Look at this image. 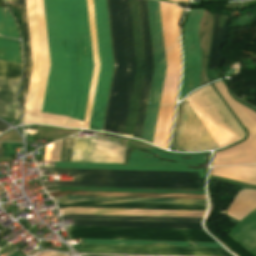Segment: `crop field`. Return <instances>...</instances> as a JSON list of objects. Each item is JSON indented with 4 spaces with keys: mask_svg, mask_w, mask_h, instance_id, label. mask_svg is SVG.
<instances>
[{
    "mask_svg": "<svg viewBox=\"0 0 256 256\" xmlns=\"http://www.w3.org/2000/svg\"><path fill=\"white\" fill-rule=\"evenodd\" d=\"M215 86L245 128H248L250 137L246 142L234 148L216 153L212 166L256 163V114L241 104L233 101L222 82L215 84Z\"/></svg>",
    "mask_w": 256,
    "mask_h": 256,
    "instance_id": "obj_10",
    "label": "crop field"
},
{
    "mask_svg": "<svg viewBox=\"0 0 256 256\" xmlns=\"http://www.w3.org/2000/svg\"><path fill=\"white\" fill-rule=\"evenodd\" d=\"M73 141H74V138H72V137L63 139L59 161L70 162Z\"/></svg>",
    "mask_w": 256,
    "mask_h": 256,
    "instance_id": "obj_29",
    "label": "crop field"
},
{
    "mask_svg": "<svg viewBox=\"0 0 256 256\" xmlns=\"http://www.w3.org/2000/svg\"><path fill=\"white\" fill-rule=\"evenodd\" d=\"M0 35L19 39L16 23L7 7H0Z\"/></svg>",
    "mask_w": 256,
    "mask_h": 256,
    "instance_id": "obj_27",
    "label": "crop field"
},
{
    "mask_svg": "<svg viewBox=\"0 0 256 256\" xmlns=\"http://www.w3.org/2000/svg\"><path fill=\"white\" fill-rule=\"evenodd\" d=\"M61 187L204 191V190H190V189L133 188V187H105V186H77V185H60L56 187L47 188L46 190L61 188Z\"/></svg>",
    "mask_w": 256,
    "mask_h": 256,
    "instance_id": "obj_30",
    "label": "crop field"
},
{
    "mask_svg": "<svg viewBox=\"0 0 256 256\" xmlns=\"http://www.w3.org/2000/svg\"><path fill=\"white\" fill-rule=\"evenodd\" d=\"M100 69L89 129L101 130L112 70L105 0H93Z\"/></svg>",
    "mask_w": 256,
    "mask_h": 256,
    "instance_id": "obj_9",
    "label": "crop field"
},
{
    "mask_svg": "<svg viewBox=\"0 0 256 256\" xmlns=\"http://www.w3.org/2000/svg\"><path fill=\"white\" fill-rule=\"evenodd\" d=\"M22 66L0 62V76L10 77L20 80Z\"/></svg>",
    "mask_w": 256,
    "mask_h": 256,
    "instance_id": "obj_28",
    "label": "crop field"
},
{
    "mask_svg": "<svg viewBox=\"0 0 256 256\" xmlns=\"http://www.w3.org/2000/svg\"><path fill=\"white\" fill-rule=\"evenodd\" d=\"M215 26L209 58L208 69H217L223 62L224 56L219 49L224 44L227 36V27L230 21L229 17L214 13Z\"/></svg>",
    "mask_w": 256,
    "mask_h": 256,
    "instance_id": "obj_19",
    "label": "crop field"
},
{
    "mask_svg": "<svg viewBox=\"0 0 256 256\" xmlns=\"http://www.w3.org/2000/svg\"><path fill=\"white\" fill-rule=\"evenodd\" d=\"M178 3V2H177Z\"/></svg>",
    "mask_w": 256,
    "mask_h": 256,
    "instance_id": "obj_34",
    "label": "crop field"
},
{
    "mask_svg": "<svg viewBox=\"0 0 256 256\" xmlns=\"http://www.w3.org/2000/svg\"><path fill=\"white\" fill-rule=\"evenodd\" d=\"M61 214L89 213V214H122V215H154V216H187L203 217L205 212L189 211H155V210H121V209H87L68 208L60 210Z\"/></svg>",
    "mask_w": 256,
    "mask_h": 256,
    "instance_id": "obj_18",
    "label": "crop field"
},
{
    "mask_svg": "<svg viewBox=\"0 0 256 256\" xmlns=\"http://www.w3.org/2000/svg\"><path fill=\"white\" fill-rule=\"evenodd\" d=\"M50 68L42 112L83 120L93 68L86 0H43Z\"/></svg>",
    "mask_w": 256,
    "mask_h": 256,
    "instance_id": "obj_1",
    "label": "crop field"
},
{
    "mask_svg": "<svg viewBox=\"0 0 256 256\" xmlns=\"http://www.w3.org/2000/svg\"><path fill=\"white\" fill-rule=\"evenodd\" d=\"M83 240H84L85 243H99V244H135V245H177V246H186V242L98 240V239H83ZM83 240L81 239L82 243H84ZM187 246H197V243L187 242ZM198 246L222 247L219 243H198Z\"/></svg>",
    "mask_w": 256,
    "mask_h": 256,
    "instance_id": "obj_25",
    "label": "crop field"
},
{
    "mask_svg": "<svg viewBox=\"0 0 256 256\" xmlns=\"http://www.w3.org/2000/svg\"><path fill=\"white\" fill-rule=\"evenodd\" d=\"M187 98L223 148L243 139L244 131L210 85Z\"/></svg>",
    "mask_w": 256,
    "mask_h": 256,
    "instance_id": "obj_7",
    "label": "crop field"
},
{
    "mask_svg": "<svg viewBox=\"0 0 256 256\" xmlns=\"http://www.w3.org/2000/svg\"><path fill=\"white\" fill-rule=\"evenodd\" d=\"M136 149V148H135ZM141 150V149H139ZM128 148L127 154H126V161H128L129 158V152H130V158L129 162H126L123 165H110V164H82V163H58L54 162L55 168H80V169H124V170H169V171H193V172H203L204 170H187L188 164H197V165H204L206 156H199V155H169L162 153L160 151H157L155 149H143L173 165L176 166V169L139 151ZM180 157H191V161H180ZM209 157L206 158L205 166H196V165H189L188 169H205L204 172H207L208 170V164H209ZM181 160H190V158H181Z\"/></svg>",
    "mask_w": 256,
    "mask_h": 256,
    "instance_id": "obj_6",
    "label": "crop field"
},
{
    "mask_svg": "<svg viewBox=\"0 0 256 256\" xmlns=\"http://www.w3.org/2000/svg\"><path fill=\"white\" fill-rule=\"evenodd\" d=\"M14 1H15L16 5H17V8H18L19 13H20V16L22 18L23 29H24V38H25V46H26L27 67H26L24 85H23L21 102H20V106H21V108L23 110V113H24L26 96H27V90H28L30 73H31V67H32V60H31L29 33H28L27 20H26L25 0H14Z\"/></svg>",
    "mask_w": 256,
    "mask_h": 256,
    "instance_id": "obj_23",
    "label": "crop field"
},
{
    "mask_svg": "<svg viewBox=\"0 0 256 256\" xmlns=\"http://www.w3.org/2000/svg\"><path fill=\"white\" fill-rule=\"evenodd\" d=\"M9 256H24L20 251H15L12 254H10Z\"/></svg>",
    "mask_w": 256,
    "mask_h": 256,
    "instance_id": "obj_31",
    "label": "crop field"
},
{
    "mask_svg": "<svg viewBox=\"0 0 256 256\" xmlns=\"http://www.w3.org/2000/svg\"><path fill=\"white\" fill-rule=\"evenodd\" d=\"M115 69L103 130H119L106 122L125 125L136 68L128 0H108ZM115 126L123 135L124 126Z\"/></svg>",
    "mask_w": 256,
    "mask_h": 256,
    "instance_id": "obj_2",
    "label": "crop field"
},
{
    "mask_svg": "<svg viewBox=\"0 0 256 256\" xmlns=\"http://www.w3.org/2000/svg\"><path fill=\"white\" fill-rule=\"evenodd\" d=\"M50 195H51V197L63 196V195H95V196H127V197L206 199L205 195L153 194V193H117V192H82V191H62V192L51 193Z\"/></svg>",
    "mask_w": 256,
    "mask_h": 256,
    "instance_id": "obj_22",
    "label": "crop field"
},
{
    "mask_svg": "<svg viewBox=\"0 0 256 256\" xmlns=\"http://www.w3.org/2000/svg\"><path fill=\"white\" fill-rule=\"evenodd\" d=\"M20 81L0 77V116L16 119L19 118L15 97Z\"/></svg>",
    "mask_w": 256,
    "mask_h": 256,
    "instance_id": "obj_20",
    "label": "crop field"
},
{
    "mask_svg": "<svg viewBox=\"0 0 256 256\" xmlns=\"http://www.w3.org/2000/svg\"><path fill=\"white\" fill-rule=\"evenodd\" d=\"M214 175L256 185V165L224 166Z\"/></svg>",
    "mask_w": 256,
    "mask_h": 256,
    "instance_id": "obj_24",
    "label": "crop field"
},
{
    "mask_svg": "<svg viewBox=\"0 0 256 256\" xmlns=\"http://www.w3.org/2000/svg\"><path fill=\"white\" fill-rule=\"evenodd\" d=\"M46 170H59V173H71L74 181L54 182L53 184L134 186L162 188L204 189L207 173L185 172H149V171H112V170H76L39 167Z\"/></svg>",
    "mask_w": 256,
    "mask_h": 256,
    "instance_id": "obj_4",
    "label": "crop field"
},
{
    "mask_svg": "<svg viewBox=\"0 0 256 256\" xmlns=\"http://www.w3.org/2000/svg\"><path fill=\"white\" fill-rule=\"evenodd\" d=\"M138 9H139L140 27H141V35H142L145 72H144V78L142 83L139 107L136 114L133 137L140 139L145 111H146V104H147L149 86L151 81L152 69H153V60H152V50H151L146 0H138Z\"/></svg>",
    "mask_w": 256,
    "mask_h": 256,
    "instance_id": "obj_15",
    "label": "crop field"
},
{
    "mask_svg": "<svg viewBox=\"0 0 256 256\" xmlns=\"http://www.w3.org/2000/svg\"><path fill=\"white\" fill-rule=\"evenodd\" d=\"M96 138H75L71 162L122 164L125 148Z\"/></svg>",
    "mask_w": 256,
    "mask_h": 256,
    "instance_id": "obj_14",
    "label": "crop field"
},
{
    "mask_svg": "<svg viewBox=\"0 0 256 256\" xmlns=\"http://www.w3.org/2000/svg\"><path fill=\"white\" fill-rule=\"evenodd\" d=\"M62 217L64 220L95 219V220L180 221V222H201L202 220V218H187V217H154V216L89 215V214H70V215H64Z\"/></svg>",
    "mask_w": 256,
    "mask_h": 256,
    "instance_id": "obj_21",
    "label": "crop field"
},
{
    "mask_svg": "<svg viewBox=\"0 0 256 256\" xmlns=\"http://www.w3.org/2000/svg\"><path fill=\"white\" fill-rule=\"evenodd\" d=\"M129 2H130V10H131L137 68H136L135 77H134V83L132 88V94H131V99L129 104L128 117H127V123H126L124 135L132 137L135 114L138 106V100H139L143 71H144V62H143L141 35H140V27H139L137 0H129Z\"/></svg>",
    "mask_w": 256,
    "mask_h": 256,
    "instance_id": "obj_16",
    "label": "crop field"
},
{
    "mask_svg": "<svg viewBox=\"0 0 256 256\" xmlns=\"http://www.w3.org/2000/svg\"><path fill=\"white\" fill-rule=\"evenodd\" d=\"M167 70L154 136V145L167 147L174 101L179 81V14L180 8L159 2Z\"/></svg>",
    "mask_w": 256,
    "mask_h": 256,
    "instance_id": "obj_5",
    "label": "crop field"
},
{
    "mask_svg": "<svg viewBox=\"0 0 256 256\" xmlns=\"http://www.w3.org/2000/svg\"><path fill=\"white\" fill-rule=\"evenodd\" d=\"M20 45V42H19ZM19 45L16 41L6 40L0 38V60L18 63L21 59V45H20V59H19ZM22 64V59H21Z\"/></svg>",
    "mask_w": 256,
    "mask_h": 256,
    "instance_id": "obj_26",
    "label": "crop field"
},
{
    "mask_svg": "<svg viewBox=\"0 0 256 256\" xmlns=\"http://www.w3.org/2000/svg\"><path fill=\"white\" fill-rule=\"evenodd\" d=\"M74 225L203 229L201 223L72 220ZM72 226L69 240L78 238L217 242L204 230Z\"/></svg>",
    "mask_w": 256,
    "mask_h": 256,
    "instance_id": "obj_3",
    "label": "crop field"
},
{
    "mask_svg": "<svg viewBox=\"0 0 256 256\" xmlns=\"http://www.w3.org/2000/svg\"><path fill=\"white\" fill-rule=\"evenodd\" d=\"M0 158H3V143H0Z\"/></svg>",
    "mask_w": 256,
    "mask_h": 256,
    "instance_id": "obj_33",
    "label": "crop field"
},
{
    "mask_svg": "<svg viewBox=\"0 0 256 256\" xmlns=\"http://www.w3.org/2000/svg\"><path fill=\"white\" fill-rule=\"evenodd\" d=\"M204 9L190 10L184 28L183 55L184 69L183 81L179 100L197 87L200 80V49L197 28Z\"/></svg>",
    "mask_w": 256,
    "mask_h": 256,
    "instance_id": "obj_12",
    "label": "crop field"
},
{
    "mask_svg": "<svg viewBox=\"0 0 256 256\" xmlns=\"http://www.w3.org/2000/svg\"><path fill=\"white\" fill-rule=\"evenodd\" d=\"M147 3L152 40L154 69L142 138L152 142L165 76L166 64L164 57V47L158 2L147 0Z\"/></svg>",
    "mask_w": 256,
    "mask_h": 256,
    "instance_id": "obj_8",
    "label": "crop field"
},
{
    "mask_svg": "<svg viewBox=\"0 0 256 256\" xmlns=\"http://www.w3.org/2000/svg\"><path fill=\"white\" fill-rule=\"evenodd\" d=\"M83 248L76 249L83 253L103 254H141V255H181V256H233L224 248H195V247H153L126 245L82 244Z\"/></svg>",
    "mask_w": 256,
    "mask_h": 256,
    "instance_id": "obj_13",
    "label": "crop field"
},
{
    "mask_svg": "<svg viewBox=\"0 0 256 256\" xmlns=\"http://www.w3.org/2000/svg\"><path fill=\"white\" fill-rule=\"evenodd\" d=\"M7 126L0 122V131L4 132Z\"/></svg>",
    "mask_w": 256,
    "mask_h": 256,
    "instance_id": "obj_32",
    "label": "crop field"
},
{
    "mask_svg": "<svg viewBox=\"0 0 256 256\" xmlns=\"http://www.w3.org/2000/svg\"><path fill=\"white\" fill-rule=\"evenodd\" d=\"M255 208L256 191L241 190L226 214L240 220ZM227 235L256 256V209L240 220Z\"/></svg>",
    "mask_w": 256,
    "mask_h": 256,
    "instance_id": "obj_11",
    "label": "crop field"
},
{
    "mask_svg": "<svg viewBox=\"0 0 256 256\" xmlns=\"http://www.w3.org/2000/svg\"><path fill=\"white\" fill-rule=\"evenodd\" d=\"M56 204L59 207V209L68 208V207H87V208L205 211L207 207V205H190V204L120 203V202H85V201H64V202H58Z\"/></svg>",
    "mask_w": 256,
    "mask_h": 256,
    "instance_id": "obj_17",
    "label": "crop field"
}]
</instances>
